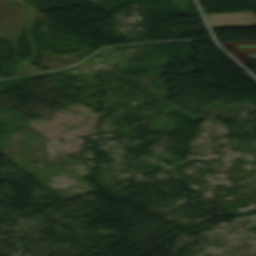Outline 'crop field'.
Returning a JSON list of instances; mask_svg holds the SVG:
<instances>
[{"instance_id":"8a807250","label":"crop field","mask_w":256,"mask_h":256,"mask_svg":"<svg viewBox=\"0 0 256 256\" xmlns=\"http://www.w3.org/2000/svg\"><path fill=\"white\" fill-rule=\"evenodd\" d=\"M212 28L254 25L256 16L251 11L206 15Z\"/></svg>"}]
</instances>
